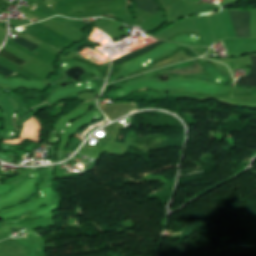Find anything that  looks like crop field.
Returning a JSON list of instances; mask_svg holds the SVG:
<instances>
[{
  "instance_id": "obj_9",
  "label": "crop field",
  "mask_w": 256,
  "mask_h": 256,
  "mask_svg": "<svg viewBox=\"0 0 256 256\" xmlns=\"http://www.w3.org/2000/svg\"><path fill=\"white\" fill-rule=\"evenodd\" d=\"M36 7L34 6V7H32V10H34Z\"/></svg>"
},
{
  "instance_id": "obj_3",
  "label": "crop field",
  "mask_w": 256,
  "mask_h": 256,
  "mask_svg": "<svg viewBox=\"0 0 256 256\" xmlns=\"http://www.w3.org/2000/svg\"><path fill=\"white\" fill-rule=\"evenodd\" d=\"M249 57L252 61L250 76L239 78L232 83L233 86L256 88V55Z\"/></svg>"
},
{
  "instance_id": "obj_5",
  "label": "crop field",
  "mask_w": 256,
  "mask_h": 256,
  "mask_svg": "<svg viewBox=\"0 0 256 256\" xmlns=\"http://www.w3.org/2000/svg\"><path fill=\"white\" fill-rule=\"evenodd\" d=\"M137 2V8L153 14L159 9L155 0H134Z\"/></svg>"
},
{
  "instance_id": "obj_4",
  "label": "crop field",
  "mask_w": 256,
  "mask_h": 256,
  "mask_svg": "<svg viewBox=\"0 0 256 256\" xmlns=\"http://www.w3.org/2000/svg\"><path fill=\"white\" fill-rule=\"evenodd\" d=\"M160 43H162V41H156V42H154V43H152V44H150L148 46H145V47H143V48H141V49H139V50H137L135 52L129 53V54L124 55V56H121V57H119V58H117V59L112 61V67H114V66H116V65H118V64H120L122 62H125V61H127V60H129V59H131V58H133L135 56H138V55H140V54H142V53H144L146 51H149V50L157 47Z\"/></svg>"
},
{
  "instance_id": "obj_6",
  "label": "crop field",
  "mask_w": 256,
  "mask_h": 256,
  "mask_svg": "<svg viewBox=\"0 0 256 256\" xmlns=\"http://www.w3.org/2000/svg\"><path fill=\"white\" fill-rule=\"evenodd\" d=\"M8 39L13 41V39H11V38H8ZM13 42L23 46L24 48H26V49H28L32 52L39 47V46H37V45L19 37V36Z\"/></svg>"
},
{
  "instance_id": "obj_8",
  "label": "crop field",
  "mask_w": 256,
  "mask_h": 256,
  "mask_svg": "<svg viewBox=\"0 0 256 256\" xmlns=\"http://www.w3.org/2000/svg\"><path fill=\"white\" fill-rule=\"evenodd\" d=\"M0 74L4 75L6 77H9V76H12V75L17 74V73L11 72V71L3 68L2 66H0Z\"/></svg>"
},
{
  "instance_id": "obj_7",
  "label": "crop field",
  "mask_w": 256,
  "mask_h": 256,
  "mask_svg": "<svg viewBox=\"0 0 256 256\" xmlns=\"http://www.w3.org/2000/svg\"><path fill=\"white\" fill-rule=\"evenodd\" d=\"M0 55L4 56V57L7 58L8 60H10V61L16 63L17 65L20 64V63H22V62H24L23 60H21V59L18 58L17 56H15V55H13V54H11V53H9V52L3 50V49L0 50ZM2 56H1V57H2ZM4 57H3V58H4Z\"/></svg>"
},
{
  "instance_id": "obj_2",
  "label": "crop field",
  "mask_w": 256,
  "mask_h": 256,
  "mask_svg": "<svg viewBox=\"0 0 256 256\" xmlns=\"http://www.w3.org/2000/svg\"><path fill=\"white\" fill-rule=\"evenodd\" d=\"M249 12V11H248ZM235 37H248L247 24L249 13L226 12Z\"/></svg>"
},
{
  "instance_id": "obj_1",
  "label": "crop field",
  "mask_w": 256,
  "mask_h": 256,
  "mask_svg": "<svg viewBox=\"0 0 256 256\" xmlns=\"http://www.w3.org/2000/svg\"><path fill=\"white\" fill-rule=\"evenodd\" d=\"M162 72H171V73H176V74H180V75L203 73L202 70L200 69V67L198 66V64L195 62V60H193L188 63L156 70V71H153V72H150V73L138 76V77H134V78L128 79L127 82L137 80L140 78H144V77H148V76L155 75V74L162 73Z\"/></svg>"
}]
</instances>
